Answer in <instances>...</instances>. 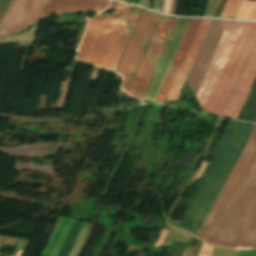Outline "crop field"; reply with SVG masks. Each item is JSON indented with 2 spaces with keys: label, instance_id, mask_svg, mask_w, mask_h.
<instances>
[{
  "label": "crop field",
  "instance_id": "17",
  "mask_svg": "<svg viewBox=\"0 0 256 256\" xmlns=\"http://www.w3.org/2000/svg\"><path fill=\"white\" fill-rule=\"evenodd\" d=\"M87 226L88 225L84 223V225H83V227H82V229H81V231H80V233H79V235H78V237L76 239V242H75V244H74V246H73L69 256H74V254H75V252H76V250H77V248H78V246H79V244H80V242H81V240H82V238H83V236L85 234Z\"/></svg>",
  "mask_w": 256,
  "mask_h": 256
},
{
  "label": "crop field",
  "instance_id": "12",
  "mask_svg": "<svg viewBox=\"0 0 256 256\" xmlns=\"http://www.w3.org/2000/svg\"><path fill=\"white\" fill-rule=\"evenodd\" d=\"M73 220L67 218H59L50 240L42 253V256H56L66 234L68 233Z\"/></svg>",
  "mask_w": 256,
  "mask_h": 256
},
{
  "label": "crop field",
  "instance_id": "16",
  "mask_svg": "<svg viewBox=\"0 0 256 256\" xmlns=\"http://www.w3.org/2000/svg\"><path fill=\"white\" fill-rule=\"evenodd\" d=\"M214 247L203 243L201 249L192 248L190 256H212Z\"/></svg>",
  "mask_w": 256,
  "mask_h": 256
},
{
  "label": "crop field",
  "instance_id": "1",
  "mask_svg": "<svg viewBox=\"0 0 256 256\" xmlns=\"http://www.w3.org/2000/svg\"><path fill=\"white\" fill-rule=\"evenodd\" d=\"M197 237L217 246L250 249L256 237V127Z\"/></svg>",
  "mask_w": 256,
  "mask_h": 256
},
{
  "label": "crop field",
  "instance_id": "7",
  "mask_svg": "<svg viewBox=\"0 0 256 256\" xmlns=\"http://www.w3.org/2000/svg\"><path fill=\"white\" fill-rule=\"evenodd\" d=\"M175 21L176 20L168 19L165 22H161L155 31L144 59L128 92L138 101H141L143 97Z\"/></svg>",
  "mask_w": 256,
  "mask_h": 256
},
{
  "label": "crop field",
  "instance_id": "11",
  "mask_svg": "<svg viewBox=\"0 0 256 256\" xmlns=\"http://www.w3.org/2000/svg\"><path fill=\"white\" fill-rule=\"evenodd\" d=\"M107 0H51L42 17L49 18L52 12H81L86 10H105Z\"/></svg>",
  "mask_w": 256,
  "mask_h": 256
},
{
  "label": "crop field",
  "instance_id": "13",
  "mask_svg": "<svg viewBox=\"0 0 256 256\" xmlns=\"http://www.w3.org/2000/svg\"><path fill=\"white\" fill-rule=\"evenodd\" d=\"M235 18L256 20V0H243Z\"/></svg>",
  "mask_w": 256,
  "mask_h": 256
},
{
  "label": "crop field",
  "instance_id": "18",
  "mask_svg": "<svg viewBox=\"0 0 256 256\" xmlns=\"http://www.w3.org/2000/svg\"><path fill=\"white\" fill-rule=\"evenodd\" d=\"M13 0H0V22L12 4Z\"/></svg>",
  "mask_w": 256,
  "mask_h": 256
},
{
  "label": "crop field",
  "instance_id": "8",
  "mask_svg": "<svg viewBox=\"0 0 256 256\" xmlns=\"http://www.w3.org/2000/svg\"><path fill=\"white\" fill-rule=\"evenodd\" d=\"M190 20L191 19L187 18L177 19L163 54L153 74V77L150 81V84L147 88V91L141 102H154Z\"/></svg>",
  "mask_w": 256,
  "mask_h": 256
},
{
  "label": "crop field",
  "instance_id": "5",
  "mask_svg": "<svg viewBox=\"0 0 256 256\" xmlns=\"http://www.w3.org/2000/svg\"><path fill=\"white\" fill-rule=\"evenodd\" d=\"M256 76V26L216 115L237 119Z\"/></svg>",
  "mask_w": 256,
  "mask_h": 256
},
{
  "label": "crop field",
  "instance_id": "10",
  "mask_svg": "<svg viewBox=\"0 0 256 256\" xmlns=\"http://www.w3.org/2000/svg\"><path fill=\"white\" fill-rule=\"evenodd\" d=\"M210 21V19L202 20L168 100H177Z\"/></svg>",
  "mask_w": 256,
  "mask_h": 256
},
{
  "label": "crop field",
  "instance_id": "15",
  "mask_svg": "<svg viewBox=\"0 0 256 256\" xmlns=\"http://www.w3.org/2000/svg\"><path fill=\"white\" fill-rule=\"evenodd\" d=\"M242 0H227L220 17L234 18Z\"/></svg>",
  "mask_w": 256,
  "mask_h": 256
},
{
  "label": "crop field",
  "instance_id": "3",
  "mask_svg": "<svg viewBox=\"0 0 256 256\" xmlns=\"http://www.w3.org/2000/svg\"><path fill=\"white\" fill-rule=\"evenodd\" d=\"M254 25L228 22L196 95L205 111L216 114Z\"/></svg>",
  "mask_w": 256,
  "mask_h": 256
},
{
  "label": "crop field",
  "instance_id": "23",
  "mask_svg": "<svg viewBox=\"0 0 256 256\" xmlns=\"http://www.w3.org/2000/svg\"><path fill=\"white\" fill-rule=\"evenodd\" d=\"M122 1H126V0H122Z\"/></svg>",
  "mask_w": 256,
  "mask_h": 256
},
{
  "label": "crop field",
  "instance_id": "14",
  "mask_svg": "<svg viewBox=\"0 0 256 256\" xmlns=\"http://www.w3.org/2000/svg\"><path fill=\"white\" fill-rule=\"evenodd\" d=\"M77 222L78 221H76V220L74 221V223H73V225H72V227H71V229H70V231H69V233H68V235L65 239V242H64V244H63V246H62V248H61V250H60V252L58 253L57 256H68V254H69V252H70V250H71V248L74 244V241H75V239H76V237L79 233V230H80V228L83 224V223L79 222L77 227H76ZM75 227H76V230L73 234V231H74ZM72 234H73V237L71 239ZM70 239H71V241H70ZM69 241H70V243H69ZM68 243H69V245H68ZM67 245H68V247L66 248ZM65 248H66V250H65Z\"/></svg>",
  "mask_w": 256,
  "mask_h": 256
},
{
  "label": "crop field",
  "instance_id": "2",
  "mask_svg": "<svg viewBox=\"0 0 256 256\" xmlns=\"http://www.w3.org/2000/svg\"><path fill=\"white\" fill-rule=\"evenodd\" d=\"M254 126L230 121L209 164L188 199L191 205L178 228L197 236Z\"/></svg>",
  "mask_w": 256,
  "mask_h": 256
},
{
  "label": "crop field",
  "instance_id": "4",
  "mask_svg": "<svg viewBox=\"0 0 256 256\" xmlns=\"http://www.w3.org/2000/svg\"><path fill=\"white\" fill-rule=\"evenodd\" d=\"M141 10L132 7L117 15L95 16L88 24L77 59L112 69L120 60Z\"/></svg>",
  "mask_w": 256,
  "mask_h": 256
},
{
  "label": "crop field",
  "instance_id": "22",
  "mask_svg": "<svg viewBox=\"0 0 256 256\" xmlns=\"http://www.w3.org/2000/svg\"><path fill=\"white\" fill-rule=\"evenodd\" d=\"M253 248H256V242H255V244H254Z\"/></svg>",
  "mask_w": 256,
  "mask_h": 256
},
{
  "label": "crop field",
  "instance_id": "6",
  "mask_svg": "<svg viewBox=\"0 0 256 256\" xmlns=\"http://www.w3.org/2000/svg\"><path fill=\"white\" fill-rule=\"evenodd\" d=\"M157 25L149 12L144 10L116 71L125 78L121 88L126 92L131 86Z\"/></svg>",
  "mask_w": 256,
  "mask_h": 256
},
{
  "label": "crop field",
  "instance_id": "21",
  "mask_svg": "<svg viewBox=\"0 0 256 256\" xmlns=\"http://www.w3.org/2000/svg\"><path fill=\"white\" fill-rule=\"evenodd\" d=\"M190 249H191V248H185L184 251H183L182 256H189Z\"/></svg>",
  "mask_w": 256,
  "mask_h": 256
},
{
  "label": "crop field",
  "instance_id": "20",
  "mask_svg": "<svg viewBox=\"0 0 256 256\" xmlns=\"http://www.w3.org/2000/svg\"><path fill=\"white\" fill-rule=\"evenodd\" d=\"M177 3H178V0H172V7H171L170 14H175L176 8H177Z\"/></svg>",
  "mask_w": 256,
  "mask_h": 256
},
{
  "label": "crop field",
  "instance_id": "19",
  "mask_svg": "<svg viewBox=\"0 0 256 256\" xmlns=\"http://www.w3.org/2000/svg\"><path fill=\"white\" fill-rule=\"evenodd\" d=\"M164 0H153V8L163 12Z\"/></svg>",
  "mask_w": 256,
  "mask_h": 256
},
{
  "label": "crop field",
  "instance_id": "9",
  "mask_svg": "<svg viewBox=\"0 0 256 256\" xmlns=\"http://www.w3.org/2000/svg\"><path fill=\"white\" fill-rule=\"evenodd\" d=\"M201 20L202 19H192L191 20V22L188 26V29L184 35V38L181 42V45L177 51V54L173 60V63L169 69V72L166 76V79L162 85V88L158 94V97L156 99L157 102L162 103L163 100L167 99Z\"/></svg>",
  "mask_w": 256,
  "mask_h": 256
}]
</instances>
